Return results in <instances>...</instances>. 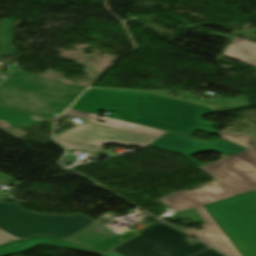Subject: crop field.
Listing matches in <instances>:
<instances>
[{"instance_id":"8a807250","label":"crop field","mask_w":256,"mask_h":256,"mask_svg":"<svg viewBox=\"0 0 256 256\" xmlns=\"http://www.w3.org/2000/svg\"><path fill=\"white\" fill-rule=\"evenodd\" d=\"M83 215H46L0 201V244L36 235H48L105 251L135 235H123Z\"/></svg>"},{"instance_id":"ac0d7876","label":"crop field","mask_w":256,"mask_h":256,"mask_svg":"<svg viewBox=\"0 0 256 256\" xmlns=\"http://www.w3.org/2000/svg\"><path fill=\"white\" fill-rule=\"evenodd\" d=\"M180 93L175 98L168 95L169 92H139L136 117L120 114L106 117L188 136H193L196 129L216 135L219 131L212 129L215 123L202 120V115L251 107L243 97L215 98L213 101L201 103L196 100L195 95ZM184 97L189 100H183ZM172 118L175 120L172 121Z\"/></svg>"},{"instance_id":"34b2d1b8","label":"crop field","mask_w":256,"mask_h":256,"mask_svg":"<svg viewBox=\"0 0 256 256\" xmlns=\"http://www.w3.org/2000/svg\"><path fill=\"white\" fill-rule=\"evenodd\" d=\"M85 88L16 70L0 85V104L50 118Z\"/></svg>"},{"instance_id":"412701ff","label":"crop field","mask_w":256,"mask_h":256,"mask_svg":"<svg viewBox=\"0 0 256 256\" xmlns=\"http://www.w3.org/2000/svg\"><path fill=\"white\" fill-rule=\"evenodd\" d=\"M205 207L243 256H256V190Z\"/></svg>"},{"instance_id":"f4fd0767","label":"crop field","mask_w":256,"mask_h":256,"mask_svg":"<svg viewBox=\"0 0 256 256\" xmlns=\"http://www.w3.org/2000/svg\"><path fill=\"white\" fill-rule=\"evenodd\" d=\"M140 236L125 242L113 250L125 256H190L205 248L197 242L184 240L188 235L165 224H154L139 232ZM193 256H223L209 248Z\"/></svg>"},{"instance_id":"dd49c442","label":"crop field","mask_w":256,"mask_h":256,"mask_svg":"<svg viewBox=\"0 0 256 256\" xmlns=\"http://www.w3.org/2000/svg\"><path fill=\"white\" fill-rule=\"evenodd\" d=\"M55 139L67 149H87L91 152L101 150L103 143L135 145L145 148L156 140V138L99 127L91 123L61 134Z\"/></svg>"},{"instance_id":"e52e79f7","label":"crop field","mask_w":256,"mask_h":256,"mask_svg":"<svg viewBox=\"0 0 256 256\" xmlns=\"http://www.w3.org/2000/svg\"><path fill=\"white\" fill-rule=\"evenodd\" d=\"M203 169L237 194L256 189V156L249 151Z\"/></svg>"},{"instance_id":"d8731c3e","label":"crop field","mask_w":256,"mask_h":256,"mask_svg":"<svg viewBox=\"0 0 256 256\" xmlns=\"http://www.w3.org/2000/svg\"><path fill=\"white\" fill-rule=\"evenodd\" d=\"M137 92L108 89L87 90L71 109L97 114L99 111L134 115Z\"/></svg>"},{"instance_id":"5a996713","label":"crop field","mask_w":256,"mask_h":256,"mask_svg":"<svg viewBox=\"0 0 256 256\" xmlns=\"http://www.w3.org/2000/svg\"><path fill=\"white\" fill-rule=\"evenodd\" d=\"M149 147L179 153L198 167L208 163H199L189 155L205 151H214L228 156L246 150L223 139L215 142H199L189 137L171 133H167L160 137L150 144Z\"/></svg>"},{"instance_id":"3316defc","label":"crop field","mask_w":256,"mask_h":256,"mask_svg":"<svg viewBox=\"0 0 256 256\" xmlns=\"http://www.w3.org/2000/svg\"><path fill=\"white\" fill-rule=\"evenodd\" d=\"M233 195L236 194L221 182L216 180L203 186L200 189L190 192H182L169 198L162 199V201L167 206L175 210L173 213H176Z\"/></svg>"},{"instance_id":"28ad6ade","label":"crop field","mask_w":256,"mask_h":256,"mask_svg":"<svg viewBox=\"0 0 256 256\" xmlns=\"http://www.w3.org/2000/svg\"><path fill=\"white\" fill-rule=\"evenodd\" d=\"M195 209L206 223L202 225L204 229L202 231H194L192 229L185 231L227 256H241L204 207L200 206Z\"/></svg>"},{"instance_id":"d1516ede","label":"crop field","mask_w":256,"mask_h":256,"mask_svg":"<svg viewBox=\"0 0 256 256\" xmlns=\"http://www.w3.org/2000/svg\"><path fill=\"white\" fill-rule=\"evenodd\" d=\"M41 244H47L51 246L81 251V252L95 254V255L102 253L84 246H80L77 244H73V243H69V242H65V241H61V240H57L49 237H33L28 241H17L12 244L0 246V256L21 253Z\"/></svg>"},{"instance_id":"22f410ed","label":"crop field","mask_w":256,"mask_h":256,"mask_svg":"<svg viewBox=\"0 0 256 256\" xmlns=\"http://www.w3.org/2000/svg\"><path fill=\"white\" fill-rule=\"evenodd\" d=\"M63 115L82 117V118L90 121L91 123H94L97 125L118 128V129L131 131V132L144 134V135L160 137L164 133H166L164 131H160V130H156V129H152V128H148V127H143V126H139V125H135V124H130V123H126V122H122V121H118V120H114V119H110V118H106V117L99 118L94 114L79 112V111H75V110H71V109H68ZM96 119H101V120L105 121V123L100 124V123L96 122Z\"/></svg>"},{"instance_id":"cbeb9de0","label":"crop field","mask_w":256,"mask_h":256,"mask_svg":"<svg viewBox=\"0 0 256 256\" xmlns=\"http://www.w3.org/2000/svg\"><path fill=\"white\" fill-rule=\"evenodd\" d=\"M223 57L256 67V43L234 37Z\"/></svg>"},{"instance_id":"5142ce71","label":"crop field","mask_w":256,"mask_h":256,"mask_svg":"<svg viewBox=\"0 0 256 256\" xmlns=\"http://www.w3.org/2000/svg\"><path fill=\"white\" fill-rule=\"evenodd\" d=\"M31 116H36L38 119H32ZM0 120L7 121L9 125L26 128L48 119L0 105Z\"/></svg>"},{"instance_id":"d9b57169","label":"crop field","mask_w":256,"mask_h":256,"mask_svg":"<svg viewBox=\"0 0 256 256\" xmlns=\"http://www.w3.org/2000/svg\"><path fill=\"white\" fill-rule=\"evenodd\" d=\"M0 57L15 55V47H11L12 19L0 20ZM3 78H0V82Z\"/></svg>"},{"instance_id":"733c2abd","label":"crop field","mask_w":256,"mask_h":256,"mask_svg":"<svg viewBox=\"0 0 256 256\" xmlns=\"http://www.w3.org/2000/svg\"><path fill=\"white\" fill-rule=\"evenodd\" d=\"M170 222L177 221L181 218L187 219L193 223L194 226L203 224V220L200 218V216L197 214V212L194 210V208L182 211L173 215H169L166 217H162Z\"/></svg>"},{"instance_id":"4a817a6b","label":"crop field","mask_w":256,"mask_h":256,"mask_svg":"<svg viewBox=\"0 0 256 256\" xmlns=\"http://www.w3.org/2000/svg\"><path fill=\"white\" fill-rule=\"evenodd\" d=\"M218 136L228 139L244 148L252 150L256 153V148L252 145L253 139L243 135V134H227V133H219Z\"/></svg>"},{"instance_id":"bc2a9ffb","label":"crop field","mask_w":256,"mask_h":256,"mask_svg":"<svg viewBox=\"0 0 256 256\" xmlns=\"http://www.w3.org/2000/svg\"><path fill=\"white\" fill-rule=\"evenodd\" d=\"M97 221L100 222L101 224L105 225V224H107V223L113 221V219H109V218L103 216V217H101V218H100L99 220H97Z\"/></svg>"},{"instance_id":"214f88e0","label":"crop field","mask_w":256,"mask_h":256,"mask_svg":"<svg viewBox=\"0 0 256 256\" xmlns=\"http://www.w3.org/2000/svg\"><path fill=\"white\" fill-rule=\"evenodd\" d=\"M101 256H121V255H119L118 253H116V252H114V251H112V250H110L109 252H107L106 254L105 253H102V254H100Z\"/></svg>"},{"instance_id":"92a150f3","label":"crop field","mask_w":256,"mask_h":256,"mask_svg":"<svg viewBox=\"0 0 256 256\" xmlns=\"http://www.w3.org/2000/svg\"><path fill=\"white\" fill-rule=\"evenodd\" d=\"M211 36H215V37H221V38H227L230 39L229 36H225V35H220V34H216V33H210Z\"/></svg>"},{"instance_id":"dafd665d","label":"crop field","mask_w":256,"mask_h":256,"mask_svg":"<svg viewBox=\"0 0 256 256\" xmlns=\"http://www.w3.org/2000/svg\"><path fill=\"white\" fill-rule=\"evenodd\" d=\"M170 224V223H169ZM172 225V224H171ZM173 226H175V227H177V228H179V229H181V230H185L184 228H182V227H180V226H176V225H173Z\"/></svg>"}]
</instances>
